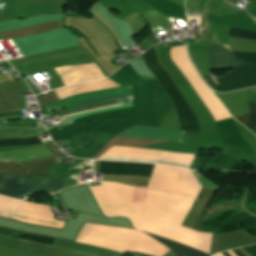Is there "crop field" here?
Returning <instances> with one entry per match:
<instances>
[{
	"instance_id": "obj_5",
	"label": "crop field",
	"mask_w": 256,
	"mask_h": 256,
	"mask_svg": "<svg viewBox=\"0 0 256 256\" xmlns=\"http://www.w3.org/2000/svg\"><path fill=\"white\" fill-rule=\"evenodd\" d=\"M183 133L184 132L181 131L168 130L162 128L133 126L118 135L126 137L166 139L181 143Z\"/></svg>"
},
{
	"instance_id": "obj_19",
	"label": "crop field",
	"mask_w": 256,
	"mask_h": 256,
	"mask_svg": "<svg viewBox=\"0 0 256 256\" xmlns=\"http://www.w3.org/2000/svg\"><path fill=\"white\" fill-rule=\"evenodd\" d=\"M38 124H39V126H40V121H38Z\"/></svg>"
},
{
	"instance_id": "obj_1",
	"label": "crop field",
	"mask_w": 256,
	"mask_h": 256,
	"mask_svg": "<svg viewBox=\"0 0 256 256\" xmlns=\"http://www.w3.org/2000/svg\"><path fill=\"white\" fill-rule=\"evenodd\" d=\"M210 70L227 69L236 65L239 60L229 50L217 45L209 47ZM230 74L217 78H205L204 81L217 91H231L256 86V66L240 62Z\"/></svg>"
},
{
	"instance_id": "obj_4",
	"label": "crop field",
	"mask_w": 256,
	"mask_h": 256,
	"mask_svg": "<svg viewBox=\"0 0 256 256\" xmlns=\"http://www.w3.org/2000/svg\"><path fill=\"white\" fill-rule=\"evenodd\" d=\"M153 166L154 165L142 163L100 161L99 172L103 174H128L151 176Z\"/></svg>"
},
{
	"instance_id": "obj_18",
	"label": "crop field",
	"mask_w": 256,
	"mask_h": 256,
	"mask_svg": "<svg viewBox=\"0 0 256 256\" xmlns=\"http://www.w3.org/2000/svg\"><path fill=\"white\" fill-rule=\"evenodd\" d=\"M130 86V85H129ZM130 88H131V90H132V92H133V94H134V90L132 89V87L130 86Z\"/></svg>"
},
{
	"instance_id": "obj_9",
	"label": "crop field",
	"mask_w": 256,
	"mask_h": 256,
	"mask_svg": "<svg viewBox=\"0 0 256 256\" xmlns=\"http://www.w3.org/2000/svg\"><path fill=\"white\" fill-rule=\"evenodd\" d=\"M130 100H133V95L82 103V104L72 106V107H69V108H66L63 110H59V113L61 114V116H63V115L70 114V113H73V112H76L79 110H83L86 108H90V107L102 106V105H107V104H111V103H119V102L130 101ZM108 106H110V105H108ZM97 108H99V107H97ZM91 109H94V108H91ZM86 110H90V109H86ZM86 110H83V111H86ZM79 112H82V111H79ZM76 113H78V112H76ZM73 114H75V113H73Z\"/></svg>"
},
{
	"instance_id": "obj_8",
	"label": "crop field",
	"mask_w": 256,
	"mask_h": 256,
	"mask_svg": "<svg viewBox=\"0 0 256 256\" xmlns=\"http://www.w3.org/2000/svg\"><path fill=\"white\" fill-rule=\"evenodd\" d=\"M149 235L155 238L156 240H158L160 243H162L166 247H168L176 256H208L207 254L199 250L193 249L191 247L180 244L173 240L166 239V238L152 235V234H149Z\"/></svg>"
},
{
	"instance_id": "obj_3",
	"label": "crop field",
	"mask_w": 256,
	"mask_h": 256,
	"mask_svg": "<svg viewBox=\"0 0 256 256\" xmlns=\"http://www.w3.org/2000/svg\"><path fill=\"white\" fill-rule=\"evenodd\" d=\"M166 93L177 110L181 130L199 132L198 122L177 88L166 90Z\"/></svg>"
},
{
	"instance_id": "obj_13",
	"label": "crop field",
	"mask_w": 256,
	"mask_h": 256,
	"mask_svg": "<svg viewBox=\"0 0 256 256\" xmlns=\"http://www.w3.org/2000/svg\"><path fill=\"white\" fill-rule=\"evenodd\" d=\"M229 35L238 37V38H249V39L256 40V32H250V31H244V30L230 28Z\"/></svg>"
},
{
	"instance_id": "obj_20",
	"label": "crop field",
	"mask_w": 256,
	"mask_h": 256,
	"mask_svg": "<svg viewBox=\"0 0 256 256\" xmlns=\"http://www.w3.org/2000/svg\"><path fill=\"white\" fill-rule=\"evenodd\" d=\"M256 20V17H253Z\"/></svg>"
},
{
	"instance_id": "obj_7",
	"label": "crop field",
	"mask_w": 256,
	"mask_h": 256,
	"mask_svg": "<svg viewBox=\"0 0 256 256\" xmlns=\"http://www.w3.org/2000/svg\"><path fill=\"white\" fill-rule=\"evenodd\" d=\"M143 58L148 66V68L151 70V72L156 76V78L159 80L163 90L174 88L175 85L170 80L168 75L165 73V71L160 66L156 56L154 47L149 49L146 53H144Z\"/></svg>"
},
{
	"instance_id": "obj_15",
	"label": "crop field",
	"mask_w": 256,
	"mask_h": 256,
	"mask_svg": "<svg viewBox=\"0 0 256 256\" xmlns=\"http://www.w3.org/2000/svg\"><path fill=\"white\" fill-rule=\"evenodd\" d=\"M237 256H244L238 249L233 250Z\"/></svg>"
},
{
	"instance_id": "obj_11",
	"label": "crop field",
	"mask_w": 256,
	"mask_h": 256,
	"mask_svg": "<svg viewBox=\"0 0 256 256\" xmlns=\"http://www.w3.org/2000/svg\"><path fill=\"white\" fill-rule=\"evenodd\" d=\"M46 141V142H50ZM44 142V143H46ZM42 143L39 137L30 138V139H9V140H0V146H12V145H32Z\"/></svg>"
},
{
	"instance_id": "obj_2",
	"label": "crop field",
	"mask_w": 256,
	"mask_h": 256,
	"mask_svg": "<svg viewBox=\"0 0 256 256\" xmlns=\"http://www.w3.org/2000/svg\"><path fill=\"white\" fill-rule=\"evenodd\" d=\"M64 188V179L0 174V194L19 199L36 190L57 192Z\"/></svg>"
},
{
	"instance_id": "obj_6",
	"label": "crop field",
	"mask_w": 256,
	"mask_h": 256,
	"mask_svg": "<svg viewBox=\"0 0 256 256\" xmlns=\"http://www.w3.org/2000/svg\"><path fill=\"white\" fill-rule=\"evenodd\" d=\"M114 137L115 136L112 135L88 132L85 135V138H87L88 140L84 143V145L77 151V153L74 156L91 158L97 153H99L100 150Z\"/></svg>"
},
{
	"instance_id": "obj_12",
	"label": "crop field",
	"mask_w": 256,
	"mask_h": 256,
	"mask_svg": "<svg viewBox=\"0 0 256 256\" xmlns=\"http://www.w3.org/2000/svg\"><path fill=\"white\" fill-rule=\"evenodd\" d=\"M19 239H25L28 241H35L38 243L42 244H47V245H53V242L55 239L49 238V237H44L40 235H34V234H26V233H21Z\"/></svg>"
},
{
	"instance_id": "obj_10",
	"label": "crop field",
	"mask_w": 256,
	"mask_h": 256,
	"mask_svg": "<svg viewBox=\"0 0 256 256\" xmlns=\"http://www.w3.org/2000/svg\"><path fill=\"white\" fill-rule=\"evenodd\" d=\"M250 113L235 117L240 123L251 129L256 126V104L249 102Z\"/></svg>"
},
{
	"instance_id": "obj_17",
	"label": "crop field",
	"mask_w": 256,
	"mask_h": 256,
	"mask_svg": "<svg viewBox=\"0 0 256 256\" xmlns=\"http://www.w3.org/2000/svg\"><path fill=\"white\" fill-rule=\"evenodd\" d=\"M251 131H253L256 134V128L251 129Z\"/></svg>"
},
{
	"instance_id": "obj_16",
	"label": "crop field",
	"mask_w": 256,
	"mask_h": 256,
	"mask_svg": "<svg viewBox=\"0 0 256 256\" xmlns=\"http://www.w3.org/2000/svg\"><path fill=\"white\" fill-rule=\"evenodd\" d=\"M254 251H256V246L255 245H252L250 246Z\"/></svg>"
},
{
	"instance_id": "obj_14",
	"label": "crop field",
	"mask_w": 256,
	"mask_h": 256,
	"mask_svg": "<svg viewBox=\"0 0 256 256\" xmlns=\"http://www.w3.org/2000/svg\"><path fill=\"white\" fill-rule=\"evenodd\" d=\"M240 61L256 64V53H237L233 52Z\"/></svg>"
}]
</instances>
